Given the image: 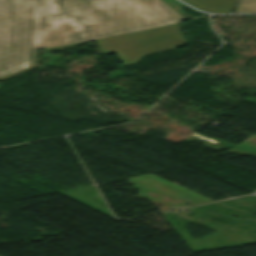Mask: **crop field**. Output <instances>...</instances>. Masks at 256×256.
Listing matches in <instances>:
<instances>
[{"label":"crop field","instance_id":"ac0d7876","mask_svg":"<svg viewBox=\"0 0 256 256\" xmlns=\"http://www.w3.org/2000/svg\"><path fill=\"white\" fill-rule=\"evenodd\" d=\"M101 53L116 52L123 65L149 54L187 45L177 23L96 40Z\"/></svg>","mask_w":256,"mask_h":256},{"label":"crop field","instance_id":"8a807250","mask_svg":"<svg viewBox=\"0 0 256 256\" xmlns=\"http://www.w3.org/2000/svg\"><path fill=\"white\" fill-rule=\"evenodd\" d=\"M184 19L162 0H0V81L38 67L37 49Z\"/></svg>","mask_w":256,"mask_h":256},{"label":"crop field","instance_id":"412701ff","mask_svg":"<svg viewBox=\"0 0 256 256\" xmlns=\"http://www.w3.org/2000/svg\"><path fill=\"white\" fill-rule=\"evenodd\" d=\"M235 12H256V0H241Z\"/></svg>","mask_w":256,"mask_h":256},{"label":"crop field","instance_id":"34b2d1b8","mask_svg":"<svg viewBox=\"0 0 256 256\" xmlns=\"http://www.w3.org/2000/svg\"><path fill=\"white\" fill-rule=\"evenodd\" d=\"M199 9L212 13H232L238 0H183Z\"/></svg>","mask_w":256,"mask_h":256}]
</instances>
